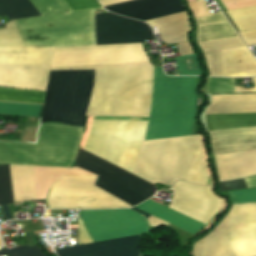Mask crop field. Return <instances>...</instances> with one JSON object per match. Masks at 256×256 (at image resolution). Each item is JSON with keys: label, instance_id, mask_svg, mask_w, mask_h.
Wrapping results in <instances>:
<instances>
[{"label": "crop field", "instance_id": "crop-field-1", "mask_svg": "<svg viewBox=\"0 0 256 256\" xmlns=\"http://www.w3.org/2000/svg\"><path fill=\"white\" fill-rule=\"evenodd\" d=\"M95 69L86 116L148 117L153 67L150 62L75 66ZM196 77H167L154 67L149 120L144 140L191 135L197 96Z\"/></svg>", "mask_w": 256, "mask_h": 256}, {"label": "crop field", "instance_id": "crop-field-2", "mask_svg": "<svg viewBox=\"0 0 256 256\" xmlns=\"http://www.w3.org/2000/svg\"><path fill=\"white\" fill-rule=\"evenodd\" d=\"M147 122L92 121L85 150L133 172ZM134 174L172 186L176 180L206 184L200 135L144 141Z\"/></svg>", "mask_w": 256, "mask_h": 256}, {"label": "crop field", "instance_id": "crop-field-3", "mask_svg": "<svg viewBox=\"0 0 256 256\" xmlns=\"http://www.w3.org/2000/svg\"><path fill=\"white\" fill-rule=\"evenodd\" d=\"M94 70L50 71L42 119L84 125ZM83 128L40 124L36 144L0 142V163L70 167Z\"/></svg>", "mask_w": 256, "mask_h": 256}, {"label": "crop field", "instance_id": "crop-field-4", "mask_svg": "<svg viewBox=\"0 0 256 256\" xmlns=\"http://www.w3.org/2000/svg\"><path fill=\"white\" fill-rule=\"evenodd\" d=\"M92 9L14 21L26 46L95 44ZM13 21L0 29V45L25 46ZM0 46V63L51 64L54 48Z\"/></svg>", "mask_w": 256, "mask_h": 256}, {"label": "crop field", "instance_id": "crop-field-5", "mask_svg": "<svg viewBox=\"0 0 256 256\" xmlns=\"http://www.w3.org/2000/svg\"><path fill=\"white\" fill-rule=\"evenodd\" d=\"M235 204L255 203L256 189L230 192ZM196 256H256V204L235 205L223 222L194 244Z\"/></svg>", "mask_w": 256, "mask_h": 256}, {"label": "crop field", "instance_id": "crop-field-6", "mask_svg": "<svg viewBox=\"0 0 256 256\" xmlns=\"http://www.w3.org/2000/svg\"><path fill=\"white\" fill-rule=\"evenodd\" d=\"M14 201L36 199L34 167L10 165ZM96 178H57L48 197H113L93 186ZM49 208L131 207L116 198H48Z\"/></svg>", "mask_w": 256, "mask_h": 256}, {"label": "crop field", "instance_id": "crop-field-7", "mask_svg": "<svg viewBox=\"0 0 256 256\" xmlns=\"http://www.w3.org/2000/svg\"><path fill=\"white\" fill-rule=\"evenodd\" d=\"M175 191L169 208L206 224L222 207L223 201L212 195L206 186H199L182 181L176 182ZM137 208L162 218L192 234L204 224L166 208L154 201L147 200Z\"/></svg>", "mask_w": 256, "mask_h": 256}, {"label": "crop field", "instance_id": "crop-field-8", "mask_svg": "<svg viewBox=\"0 0 256 256\" xmlns=\"http://www.w3.org/2000/svg\"><path fill=\"white\" fill-rule=\"evenodd\" d=\"M75 166L98 175L94 186L132 206L153 192V185L81 149Z\"/></svg>", "mask_w": 256, "mask_h": 256}, {"label": "crop field", "instance_id": "crop-field-9", "mask_svg": "<svg viewBox=\"0 0 256 256\" xmlns=\"http://www.w3.org/2000/svg\"><path fill=\"white\" fill-rule=\"evenodd\" d=\"M149 61L141 43L55 48L52 67Z\"/></svg>", "mask_w": 256, "mask_h": 256}, {"label": "crop field", "instance_id": "crop-field-10", "mask_svg": "<svg viewBox=\"0 0 256 256\" xmlns=\"http://www.w3.org/2000/svg\"><path fill=\"white\" fill-rule=\"evenodd\" d=\"M94 242L148 231L146 219L129 209L80 211Z\"/></svg>", "mask_w": 256, "mask_h": 256}, {"label": "crop field", "instance_id": "crop-field-11", "mask_svg": "<svg viewBox=\"0 0 256 256\" xmlns=\"http://www.w3.org/2000/svg\"><path fill=\"white\" fill-rule=\"evenodd\" d=\"M256 111V93L212 96L206 114ZM207 129L256 126V112L206 115Z\"/></svg>", "mask_w": 256, "mask_h": 256}, {"label": "crop field", "instance_id": "crop-field-12", "mask_svg": "<svg viewBox=\"0 0 256 256\" xmlns=\"http://www.w3.org/2000/svg\"><path fill=\"white\" fill-rule=\"evenodd\" d=\"M96 45L143 42L154 38L149 26L110 13L95 15Z\"/></svg>", "mask_w": 256, "mask_h": 256}, {"label": "crop field", "instance_id": "crop-field-13", "mask_svg": "<svg viewBox=\"0 0 256 256\" xmlns=\"http://www.w3.org/2000/svg\"><path fill=\"white\" fill-rule=\"evenodd\" d=\"M72 11L98 8L96 0H65ZM64 0H29L40 16L69 12ZM28 0H0V15L11 19L39 16Z\"/></svg>", "mask_w": 256, "mask_h": 256}, {"label": "crop field", "instance_id": "crop-field-14", "mask_svg": "<svg viewBox=\"0 0 256 256\" xmlns=\"http://www.w3.org/2000/svg\"><path fill=\"white\" fill-rule=\"evenodd\" d=\"M103 6L128 0H99ZM107 10L143 21L185 11L180 0H133L105 7Z\"/></svg>", "mask_w": 256, "mask_h": 256}, {"label": "crop field", "instance_id": "crop-field-15", "mask_svg": "<svg viewBox=\"0 0 256 256\" xmlns=\"http://www.w3.org/2000/svg\"><path fill=\"white\" fill-rule=\"evenodd\" d=\"M50 66L0 64V86L45 90Z\"/></svg>", "mask_w": 256, "mask_h": 256}, {"label": "crop field", "instance_id": "crop-field-16", "mask_svg": "<svg viewBox=\"0 0 256 256\" xmlns=\"http://www.w3.org/2000/svg\"><path fill=\"white\" fill-rule=\"evenodd\" d=\"M140 235L55 250L59 256H79L138 244ZM137 245L84 256H140Z\"/></svg>", "mask_w": 256, "mask_h": 256}, {"label": "crop field", "instance_id": "crop-field-17", "mask_svg": "<svg viewBox=\"0 0 256 256\" xmlns=\"http://www.w3.org/2000/svg\"><path fill=\"white\" fill-rule=\"evenodd\" d=\"M219 180L256 174V150L214 156Z\"/></svg>", "mask_w": 256, "mask_h": 256}, {"label": "crop field", "instance_id": "crop-field-18", "mask_svg": "<svg viewBox=\"0 0 256 256\" xmlns=\"http://www.w3.org/2000/svg\"><path fill=\"white\" fill-rule=\"evenodd\" d=\"M214 155L256 149V127L212 131Z\"/></svg>", "mask_w": 256, "mask_h": 256}, {"label": "crop field", "instance_id": "crop-field-19", "mask_svg": "<svg viewBox=\"0 0 256 256\" xmlns=\"http://www.w3.org/2000/svg\"><path fill=\"white\" fill-rule=\"evenodd\" d=\"M222 76H256V60L246 46L222 50Z\"/></svg>", "mask_w": 256, "mask_h": 256}, {"label": "crop field", "instance_id": "crop-field-20", "mask_svg": "<svg viewBox=\"0 0 256 256\" xmlns=\"http://www.w3.org/2000/svg\"><path fill=\"white\" fill-rule=\"evenodd\" d=\"M151 27L157 26L165 44L188 40L189 22L186 12L146 21Z\"/></svg>", "mask_w": 256, "mask_h": 256}, {"label": "crop field", "instance_id": "crop-field-21", "mask_svg": "<svg viewBox=\"0 0 256 256\" xmlns=\"http://www.w3.org/2000/svg\"><path fill=\"white\" fill-rule=\"evenodd\" d=\"M196 21L198 43L238 36L221 12L198 18Z\"/></svg>", "mask_w": 256, "mask_h": 256}, {"label": "crop field", "instance_id": "crop-field-22", "mask_svg": "<svg viewBox=\"0 0 256 256\" xmlns=\"http://www.w3.org/2000/svg\"><path fill=\"white\" fill-rule=\"evenodd\" d=\"M199 45L206 56L210 75L221 76V49L242 46L244 43L237 37Z\"/></svg>", "mask_w": 256, "mask_h": 256}, {"label": "crop field", "instance_id": "crop-field-23", "mask_svg": "<svg viewBox=\"0 0 256 256\" xmlns=\"http://www.w3.org/2000/svg\"><path fill=\"white\" fill-rule=\"evenodd\" d=\"M45 91L0 88V101L43 104Z\"/></svg>", "mask_w": 256, "mask_h": 256}, {"label": "crop field", "instance_id": "crop-field-24", "mask_svg": "<svg viewBox=\"0 0 256 256\" xmlns=\"http://www.w3.org/2000/svg\"><path fill=\"white\" fill-rule=\"evenodd\" d=\"M227 14L233 20L256 16V6L228 11ZM240 31L255 29L256 17L233 21Z\"/></svg>", "mask_w": 256, "mask_h": 256}, {"label": "crop field", "instance_id": "crop-field-25", "mask_svg": "<svg viewBox=\"0 0 256 256\" xmlns=\"http://www.w3.org/2000/svg\"><path fill=\"white\" fill-rule=\"evenodd\" d=\"M41 105L0 102V114L38 117Z\"/></svg>", "mask_w": 256, "mask_h": 256}, {"label": "crop field", "instance_id": "crop-field-26", "mask_svg": "<svg viewBox=\"0 0 256 256\" xmlns=\"http://www.w3.org/2000/svg\"><path fill=\"white\" fill-rule=\"evenodd\" d=\"M14 203L9 165L0 167V204Z\"/></svg>", "mask_w": 256, "mask_h": 256}, {"label": "crop field", "instance_id": "crop-field-27", "mask_svg": "<svg viewBox=\"0 0 256 256\" xmlns=\"http://www.w3.org/2000/svg\"><path fill=\"white\" fill-rule=\"evenodd\" d=\"M235 92L232 78H207L206 93H228Z\"/></svg>", "mask_w": 256, "mask_h": 256}, {"label": "crop field", "instance_id": "crop-field-28", "mask_svg": "<svg viewBox=\"0 0 256 256\" xmlns=\"http://www.w3.org/2000/svg\"><path fill=\"white\" fill-rule=\"evenodd\" d=\"M175 59L180 75H201L195 54Z\"/></svg>", "mask_w": 256, "mask_h": 256}, {"label": "crop field", "instance_id": "crop-field-29", "mask_svg": "<svg viewBox=\"0 0 256 256\" xmlns=\"http://www.w3.org/2000/svg\"><path fill=\"white\" fill-rule=\"evenodd\" d=\"M6 254H9L10 256H44V253L37 245L32 247L25 245L10 250L6 249L0 251V256Z\"/></svg>", "mask_w": 256, "mask_h": 256}, {"label": "crop field", "instance_id": "crop-field-30", "mask_svg": "<svg viewBox=\"0 0 256 256\" xmlns=\"http://www.w3.org/2000/svg\"><path fill=\"white\" fill-rule=\"evenodd\" d=\"M228 10L256 5V0H221Z\"/></svg>", "mask_w": 256, "mask_h": 256}, {"label": "crop field", "instance_id": "crop-field-31", "mask_svg": "<svg viewBox=\"0 0 256 256\" xmlns=\"http://www.w3.org/2000/svg\"><path fill=\"white\" fill-rule=\"evenodd\" d=\"M218 185H220L219 191L220 190H227V189H244V188H246L242 179L229 181V182L218 183Z\"/></svg>", "mask_w": 256, "mask_h": 256}, {"label": "crop field", "instance_id": "crop-field-32", "mask_svg": "<svg viewBox=\"0 0 256 256\" xmlns=\"http://www.w3.org/2000/svg\"><path fill=\"white\" fill-rule=\"evenodd\" d=\"M78 228H79V241H80V244L81 243H91L92 240L89 236V234L87 233L82 221L80 218H78Z\"/></svg>", "mask_w": 256, "mask_h": 256}, {"label": "crop field", "instance_id": "crop-field-33", "mask_svg": "<svg viewBox=\"0 0 256 256\" xmlns=\"http://www.w3.org/2000/svg\"><path fill=\"white\" fill-rule=\"evenodd\" d=\"M247 46L256 44V30L239 33Z\"/></svg>", "mask_w": 256, "mask_h": 256}, {"label": "crop field", "instance_id": "crop-field-34", "mask_svg": "<svg viewBox=\"0 0 256 256\" xmlns=\"http://www.w3.org/2000/svg\"><path fill=\"white\" fill-rule=\"evenodd\" d=\"M148 219V224L150 227H153V228H156V227H159L161 225H165V226H168V223L154 217V216H150L147 218Z\"/></svg>", "mask_w": 256, "mask_h": 256}, {"label": "crop field", "instance_id": "crop-field-35", "mask_svg": "<svg viewBox=\"0 0 256 256\" xmlns=\"http://www.w3.org/2000/svg\"><path fill=\"white\" fill-rule=\"evenodd\" d=\"M178 45H179L178 49L180 51L181 56L194 53L189 42L180 43Z\"/></svg>", "mask_w": 256, "mask_h": 256}, {"label": "crop field", "instance_id": "crop-field-36", "mask_svg": "<svg viewBox=\"0 0 256 256\" xmlns=\"http://www.w3.org/2000/svg\"><path fill=\"white\" fill-rule=\"evenodd\" d=\"M244 181L248 188L256 187V176L250 178H244Z\"/></svg>", "mask_w": 256, "mask_h": 256}, {"label": "crop field", "instance_id": "crop-field-37", "mask_svg": "<svg viewBox=\"0 0 256 256\" xmlns=\"http://www.w3.org/2000/svg\"><path fill=\"white\" fill-rule=\"evenodd\" d=\"M0 208L5 216L6 220L12 219L8 205H1Z\"/></svg>", "mask_w": 256, "mask_h": 256}, {"label": "crop field", "instance_id": "crop-field-38", "mask_svg": "<svg viewBox=\"0 0 256 256\" xmlns=\"http://www.w3.org/2000/svg\"><path fill=\"white\" fill-rule=\"evenodd\" d=\"M252 80H253L254 89H239V88H235V89H236V92H251V91H256V77H255V78H252Z\"/></svg>", "mask_w": 256, "mask_h": 256}, {"label": "crop field", "instance_id": "crop-field-39", "mask_svg": "<svg viewBox=\"0 0 256 256\" xmlns=\"http://www.w3.org/2000/svg\"><path fill=\"white\" fill-rule=\"evenodd\" d=\"M132 209H134V210H136L137 212H139V213L145 215L146 217L150 215V214H147V213H145V212H143V211H141V210H139V209H137V208H135V207H133Z\"/></svg>", "mask_w": 256, "mask_h": 256}, {"label": "crop field", "instance_id": "crop-field-40", "mask_svg": "<svg viewBox=\"0 0 256 256\" xmlns=\"http://www.w3.org/2000/svg\"><path fill=\"white\" fill-rule=\"evenodd\" d=\"M2 246V240H1V238H0V247Z\"/></svg>", "mask_w": 256, "mask_h": 256}, {"label": "crop field", "instance_id": "crop-field-41", "mask_svg": "<svg viewBox=\"0 0 256 256\" xmlns=\"http://www.w3.org/2000/svg\"><path fill=\"white\" fill-rule=\"evenodd\" d=\"M189 2H191V1H194V0H188Z\"/></svg>", "mask_w": 256, "mask_h": 256}]
</instances>
